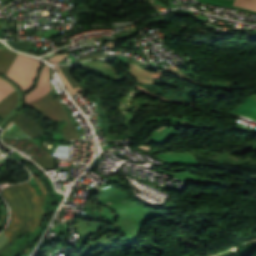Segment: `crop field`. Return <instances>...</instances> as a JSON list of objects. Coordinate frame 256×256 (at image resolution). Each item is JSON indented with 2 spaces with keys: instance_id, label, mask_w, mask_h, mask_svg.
Instances as JSON below:
<instances>
[{
  "instance_id": "obj_1",
  "label": "crop field",
  "mask_w": 256,
  "mask_h": 256,
  "mask_svg": "<svg viewBox=\"0 0 256 256\" xmlns=\"http://www.w3.org/2000/svg\"><path fill=\"white\" fill-rule=\"evenodd\" d=\"M2 194L11 206L12 215L28 218L40 223L44 217L39 207V200L35 190L28 183L7 186Z\"/></svg>"
},
{
  "instance_id": "obj_2",
  "label": "crop field",
  "mask_w": 256,
  "mask_h": 256,
  "mask_svg": "<svg viewBox=\"0 0 256 256\" xmlns=\"http://www.w3.org/2000/svg\"><path fill=\"white\" fill-rule=\"evenodd\" d=\"M29 104L47 120L54 119L55 122L66 120L67 123L62 129L66 139H80L66 111L54 97L47 94Z\"/></svg>"
},
{
  "instance_id": "obj_3",
  "label": "crop field",
  "mask_w": 256,
  "mask_h": 256,
  "mask_svg": "<svg viewBox=\"0 0 256 256\" xmlns=\"http://www.w3.org/2000/svg\"><path fill=\"white\" fill-rule=\"evenodd\" d=\"M40 65L39 60L18 54L6 77L16 82L24 93L32 87Z\"/></svg>"
},
{
  "instance_id": "obj_4",
  "label": "crop field",
  "mask_w": 256,
  "mask_h": 256,
  "mask_svg": "<svg viewBox=\"0 0 256 256\" xmlns=\"http://www.w3.org/2000/svg\"><path fill=\"white\" fill-rule=\"evenodd\" d=\"M50 90H51V87L49 82V67L44 66L39 76L36 87L34 88L33 91L31 90L32 92L26 94L25 104L49 93Z\"/></svg>"
},
{
  "instance_id": "obj_5",
  "label": "crop field",
  "mask_w": 256,
  "mask_h": 256,
  "mask_svg": "<svg viewBox=\"0 0 256 256\" xmlns=\"http://www.w3.org/2000/svg\"><path fill=\"white\" fill-rule=\"evenodd\" d=\"M21 113V112H20ZM19 113V115L17 116V117H15L12 121L15 123V124H17L22 130H24L27 134H28V136L29 137H31L33 140L34 139H36L37 137H39V136H41V135H43L42 133H41V131H42V129L40 128V130H39V128H38V124L36 123V122H34V123H36V124H34L33 122H31V121H29V120H27L24 116H22L21 114ZM43 132V131H42Z\"/></svg>"
},
{
  "instance_id": "obj_6",
  "label": "crop field",
  "mask_w": 256,
  "mask_h": 256,
  "mask_svg": "<svg viewBox=\"0 0 256 256\" xmlns=\"http://www.w3.org/2000/svg\"><path fill=\"white\" fill-rule=\"evenodd\" d=\"M12 220L18 226V228L21 230L22 233L29 232V231L35 232V230L37 229V227L39 225L35 221L18 218V217H14V216H12Z\"/></svg>"
},
{
  "instance_id": "obj_7",
  "label": "crop field",
  "mask_w": 256,
  "mask_h": 256,
  "mask_svg": "<svg viewBox=\"0 0 256 256\" xmlns=\"http://www.w3.org/2000/svg\"><path fill=\"white\" fill-rule=\"evenodd\" d=\"M3 233L9 238V242L0 249V254L22 234L12 220L6 231Z\"/></svg>"
},
{
  "instance_id": "obj_8",
  "label": "crop field",
  "mask_w": 256,
  "mask_h": 256,
  "mask_svg": "<svg viewBox=\"0 0 256 256\" xmlns=\"http://www.w3.org/2000/svg\"><path fill=\"white\" fill-rule=\"evenodd\" d=\"M75 66H77V64L71 65L72 70ZM59 68L61 69L67 80L70 82V84L73 86V88L81 86L74 80L70 66H59Z\"/></svg>"
},
{
  "instance_id": "obj_9",
  "label": "crop field",
  "mask_w": 256,
  "mask_h": 256,
  "mask_svg": "<svg viewBox=\"0 0 256 256\" xmlns=\"http://www.w3.org/2000/svg\"><path fill=\"white\" fill-rule=\"evenodd\" d=\"M37 164H39L43 169L54 167V160L49 155V153L43 155L42 157L34 160Z\"/></svg>"
},
{
  "instance_id": "obj_10",
  "label": "crop field",
  "mask_w": 256,
  "mask_h": 256,
  "mask_svg": "<svg viewBox=\"0 0 256 256\" xmlns=\"http://www.w3.org/2000/svg\"><path fill=\"white\" fill-rule=\"evenodd\" d=\"M57 72L59 73L64 85L66 86L68 92L70 95L72 94H76V93H79V92H83V90L79 87V88H76V89H73L72 86L69 84V82L66 80V78L64 77V75L62 74V72L60 71V69L58 68V66H55L53 65Z\"/></svg>"
},
{
  "instance_id": "obj_11",
  "label": "crop field",
  "mask_w": 256,
  "mask_h": 256,
  "mask_svg": "<svg viewBox=\"0 0 256 256\" xmlns=\"http://www.w3.org/2000/svg\"><path fill=\"white\" fill-rule=\"evenodd\" d=\"M13 90L14 89L11 85L0 80V100H2L5 96H7Z\"/></svg>"
},
{
  "instance_id": "obj_12",
  "label": "crop field",
  "mask_w": 256,
  "mask_h": 256,
  "mask_svg": "<svg viewBox=\"0 0 256 256\" xmlns=\"http://www.w3.org/2000/svg\"><path fill=\"white\" fill-rule=\"evenodd\" d=\"M234 5L256 10V0H236Z\"/></svg>"
},
{
  "instance_id": "obj_13",
  "label": "crop field",
  "mask_w": 256,
  "mask_h": 256,
  "mask_svg": "<svg viewBox=\"0 0 256 256\" xmlns=\"http://www.w3.org/2000/svg\"><path fill=\"white\" fill-rule=\"evenodd\" d=\"M7 43L11 47H13V48H15V49H17L19 51L26 52V53L28 52V50H29V48L31 46V43H17V42H11V41H7Z\"/></svg>"
},
{
  "instance_id": "obj_14",
  "label": "crop field",
  "mask_w": 256,
  "mask_h": 256,
  "mask_svg": "<svg viewBox=\"0 0 256 256\" xmlns=\"http://www.w3.org/2000/svg\"><path fill=\"white\" fill-rule=\"evenodd\" d=\"M107 56L108 55H104V54L89 53V54H87L85 56H82V57L78 58L76 62L82 61V60H85V59H88V58H105Z\"/></svg>"
},
{
  "instance_id": "obj_15",
  "label": "crop field",
  "mask_w": 256,
  "mask_h": 256,
  "mask_svg": "<svg viewBox=\"0 0 256 256\" xmlns=\"http://www.w3.org/2000/svg\"><path fill=\"white\" fill-rule=\"evenodd\" d=\"M37 183H38L40 189H41L42 192H43V195H40V196H39L40 207H43V205H44V203H45V198H46L47 192H46V190H45V188H44V186H43V184H42L41 181H37Z\"/></svg>"
},
{
  "instance_id": "obj_16",
  "label": "crop field",
  "mask_w": 256,
  "mask_h": 256,
  "mask_svg": "<svg viewBox=\"0 0 256 256\" xmlns=\"http://www.w3.org/2000/svg\"><path fill=\"white\" fill-rule=\"evenodd\" d=\"M68 54H71V53H68ZM68 54H58L57 56L51 58V59H48V61L50 63H56L58 64L64 57H66Z\"/></svg>"
},
{
  "instance_id": "obj_17",
  "label": "crop field",
  "mask_w": 256,
  "mask_h": 256,
  "mask_svg": "<svg viewBox=\"0 0 256 256\" xmlns=\"http://www.w3.org/2000/svg\"><path fill=\"white\" fill-rule=\"evenodd\" d=\"M19 128L17 125H15L12 121L10 122V124L7 126L5 132H7L8 134L12 133L13 131H15V129Z\"/></svg>"
},
{
  "instance_id": "obj_18",
  "label": "crop field",
  "mask_w": 256,
  "mask_h": 256,
  "mask_svg": "<svg viewBox=\"0 0 256 256\" xmlns=\"http://www.w3.org/2000/svg\"><path fill=\"white\" fill-rule=\"evenodd\" d=\"M3 46H4V45H3L2 43H0V47L3 48Z\"/></svg>"
},
{
  "instance_id": "obj_19",
  "label": "crop field",
  "mask_w": 256,
  "mask_h": 256,
  "mask_svg": "<svg viewBox=\"0 0 256 256\" xmlns=\"http://www.w3.org/2000/svg\"><path fill=\"white\" fill-rule=\"evenodd\" d=\"M97 187H98V190H100V187H99V185H97Z\"/></svg>"
}]
</instances>
